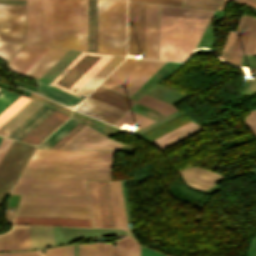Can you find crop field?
<instances>
[{
	"label": "crop field",
	"mask_w": 256,
	"mask_h": 256,
	"mask_svg": "<svg viewBox=\"0 0 256 256\" xmlns=\"http://www.w3.org/2000/svg\"><path fill=\"white\" fill-rule=\"evenodd\" d=\"M208 20L160 15V59L182 60L194 49Z\"/></svg>",
	"instance_id": "crop-field-1"
},
{
	"label": "crop field",
	"mask_w": 256,
	"mask_h": 256,
	"mask_svg": "<svg viewBox=\"0 0 256 256\" xmlns=\"http://www.w3.org/2000/svg\"><path fill=\"white\" fill-rule=\"evenodd\" d=\"M98 52L126 56V2L98 0Z\"/></svg>",
	"instance_id": "crop-field-2"
},
{
	"label": "crop field",
	"mask_w": 256,
	"mask_h": 256,
	"mask_svg": "<svg viewBox=\"0 0 256 256\" xmlns=\"http://www.w3.org/2000/svg\"><path fill=\"white\" fill-rule=\"evenodd\" d=\"M165 63L126 58L100 85L130 97Z\"/></svg>",
	"instance_id": "crop-field-3"
},
{
	"label": "crop field",
	"mask_w": 256,
	"mask_h": 256,
	"mask_svg": "<svg viewBox=\"0 0 256 256\" xmlns=\"http://www.w3.org/2000/svg\"><path fill=\"white\" fill-rule=\"evenodd\" d=\"M111 57L82 52L50 84L74 94Z\"/></svg>",
	"instance_id": "crop-field-4"
},
{
	"label": "crop field",
	"mask_w": 256,
	"mask_h": 256,
	"mask_svg": "<svg viewBox=\"0 0 256 256\" xmlns=\"http://www.w3.org/2000/svg\"><path fill=\"white\" fill-rule=\"evenodd\" d=\"M53 46L78 49V0H53Z\"/></svg>",
	"instance_id": "crop-field-5"
},
{
	"label": "crop field",
	"mask_w": 256,
	"mask_h": 256,
	"mask_svg": "<svg viewBox=\"0 0 256 256\" xmlns=\"http://www.w3.org/2000/svg\"><path fill=\"white\" fill-rule=\"evenodd\" d=\"M27 42L52 46V0H27Z\"/></svg>",
	"instance_id": "crop-field-6"
},
{
	"label": "crop field",
	"mask_w": 256,
	"mask_h": 256,
	"mask_svg": "<svg viewBox=\"0 0 256 256\" xmlns=\"http://www.w3.org/2000/svg\"><path fill=\"white\" fill-rule=\"evenodd\" d=\"M34 145L13 140L0 162V206L21 169L34 149Z\"/></svg>",
	"instance_id": "crop-field-7"
},
{
	"label": "crop field",
	"mask_w": 256,
	"mask_h": 256,
	"mask_svg": "<svg viewBox=\"0 0 256 256\" xmlns=\"http://www.w3.org/2000/svg\"><path fill=\"white\" fill-rule=\"evenodd\" d=\"M0 41L25 42V6L0 4Z\"/></svg>",
	"instance_id": "crop-field-8"
},
{
	"label": "crop field",
	"mask_w": 256,
	"mask_h": 256,
	"mask_svg": "<svg viewBox=\"0 0 256 256\" xmlns=\"http://www.w3.org/2000/svg\"><path fill=\"white\" fill-rule=\"evenodd\" d=\"M128 53L145 55V4L128 2Z\"/></svg>",
	"instance_id": "crop-field-9"
},
{
	"label": "crop field",
	"mask_w": 256,
	"mask_h": 256,
	"mask_svg": "<svg viewBox=\"0 0 256 256\" xmlns=\"http://www.w3.org/2000/svg\"><path fill=\"white\" fill-rule=\"evenodd\" d=\"M16 216L91 218L89 206L20 204Z\"/></svg>",
	"instance_id": "crop-field-10"
},
{
	"label": "crop field",
	"mask_w": 256,
	"mask_h": 256,
	"mask_svg": "<svg viewBox=\"0 0 256 256\" xmlns=\"http://www.w3.org/2000/svg\"><path fill=\"white\" fill-rule=\"evenodd\" d=\"M124 145L86 125L61 148L116 150Z\"/></svg>",
	"instance_id": "crop-field-11"
},
{
	"label": "crop field",
	"mask_w": 256,
	"mask_h": 256,
	"mask_svg": "<svg viewBox=\"0 0 256 256\" xmlns=\"http://www.w3.org/2000/svg\"><path fill=\"white\" fill-rule=\"evenodd\" d=\"M20 177L110 180V171L24 168Z\"/></svg>",
	"instance_id": "crop-field-12"
},
{
	"label": "crop field",
	"mask_w": 256,
	"mask_h": 256,
	"mask_svg": "<svg viewBox=\"0 0 256 256\" xmlns=\"http://www.w3.org/2000/svg\"><path fill=\"white\" fill-rule=\"evenodd\" d=\"M68 117V115L55 110L23 139H21V141L37 145Z\"/></svg>",
	"instance_id": "crop-field-13"
},
{
	"label": "crop field",
	"mask_w": 256,
	"mask_h": 256,
	"mask_svg": "<svg viewBox=\"0 0 256 256\" xmlns=\"http://www.w3.org/2000/svg\"><path fill=\"white\" fill-rule=\"evenodd\" d=\"M30 248L29 226H13L11 231L0 235V251Z\"/></svg>",
	"instance_id": "crop-field-14"
},
{
	"label": "crop field",
	"mask_w": 256,
	"mask_h": 256,
	"mask_svg": "<svg viewBox=\"0 0 256 256\" xmlns=\"http://www.w3.org/2000/svg\"><path fill=\"white\" fill-rule=\"evenodd\" d=\"M49 47L26 44L10 61L9 67L24 73Z\"/></svg>",
	"instance_id": "crop-field-15"
},
{
	"label": "crop field",
	"mask_w": 256,
	"mask_h": 256,
	"mask_svg": "<svg viewBox=\"0 0 256 256\" xmlns=\"http://www.w3.org/2000/svg\"><path fill=\"white\" fill-rule=\"evenodd\" d=\"M214 173L197 167H190L180 171V174L186 184L201 191H204L215 185V181L222 178L216 175L217 173Z\"/></svg>",
	"instance_id": "crop-field-16"
},
{
	"label": "crop field",
	"mask_w": 256,
	"mask_h": 256,
	"mask_svg": "<svg viewBox=\"0 0 256 256\" xmlns=\"http://www.w3.org/2000/svg\"><path fill=\"white\" fill-rule=\"evenodd\" d=\"M68 50L50 47L25 74L40 78L53 64H55Z\"/></svg>",
	"instance_id": "crop-field-17"
},
{
	"label": "crop field",
	"mask_w": 256,
	"mask_h": 256,
	"mask_svg": "<svg viewBox=\"0 0 256 256\" xmlns=\"http://www.w3.org/2000/svg\"><path fill=\"white\" fill-rule=\"evenodd\" d=\"M53 111L54 109L49 108L43 104L18 127H16L10 134H8L7 137L20 140Z\"/></svg>",
	"instance_id": "crop-field-18"
},
{
	"label": "crop field",
	"mask_w": 256,
	"mask_h": 256,
	"mask_svg": "<svg viewBox=\"0 0 256 256\" xmlns=\"http://www.w3.org/2000/svg\"><path fill=\"white\" fill-rule=\"evenodd\" d=\"M89 97L126 111L135 101L114 92L97 87Z\"/></svg>",
	"instance_id": "crop-field-19"
},
{
	"label": "crop field",
	"mask_w": 256,
	"mask_h": 256,
	"mask_svg": "<svg viewBox=\"0 0 256 256\" xmlns=\"http://www.w3.org/2000/svg\"><path fill=\"white\" fill-rule=\"evenodd\" d=\"M125 57L113 56L94 76H92L75 95L86 96L104 77H106Z\"/></svg>",
	"instance_id": "crop-field-20"
},
{
	"label": "crop field",
	"mask_w": 256,
	"mask_h": 256,
	"mask_svg": "<svg viewBox=\"0 0 256 256\" xmlns=\"http://www.w3.org/2000/svg\"><path fill=\"white\" fill-rule=\"evenodd\" d=\"M202 127H200L199 125L195 124L194 122H189L153 141H151L150 143L156 145L159 149L200 129Z\"/></svg>",
	"instance_id": "crop-field-21"
},
{
	"label": "crop field",
	"mask_w": 256,
	"mask_h": 256,
	"mask_svg": "<svg viewBox=\"0 0 256 256\" xmlns=\"http://www.w3.org/2000/svg\"><path fill=\"white\" fill-rule=\"evenodd\" d=\"M41 105L42 103L31 100L0 127V135L6 136Z\"/></svg>",
	"instance_id": "crop-field-22"
},
{
	"label": "crop field",
	"mask_w": 256,
	"mask_h": 256,
	"mask_svg": "<svg viewBox=\"0 0 256 256\" xmlns=\"http://www.w3.org/2000/svg\"><path fill=\"white\" fill-rule=\"evenodd\" d=\"M32 248L54 245L53 227L30 226Z\"/></svg>",
	"instance_id": "crop-field-23"
},
{
	"label": "crop field",
	"mask_w": 256,
	"mask_h": 256,
	"mask_svg": "<svg viewBox=\"0 0 256 256\" xmlns=\"http://www.w3.org/2000/svg\"><path fill=\"white\" fill-rule=\"evenodd\" d=\"M38 81V80H37ZM38 84L40 86L39 90L37 91V93L42 94L46 97H49L51 99H54L58 102H61L63 104H67V105H76L78 104L81 100L71 96L65 92H62L56 88H53L47 84H44L40 81H38Z\"/></svg>",
	"instance_id": "crop-field-24"
},
{
	"label": "crop field",
	"mask_w": 256,
	"mask_h": 256,
	"mask_svg": "<svg viewBox=\"0 0 256 256\" xmlns=\"http://www.w3.org/2000/svg\"><path fill=\"white\" fill-rule=\"evenodd\" d=\"M77 110L112 124L120 115L83 101Z\"/></svg>",
	"instance_id": "crop-field-25"
},
{
	"label": "crop field",
	"mask_w": 256,
	"mask_h": 256,
	"mask_svg": "<svg viewBox=\"0 0 256 256\" xmlns=\"http://www.w3.org/2000/svg\"><path fill=\"white\" fill-rule=\"evenodd\" d=\"M80 121L73 117H70L65 123H63L55 132H53L44 142L38 147L51 148L57 143L65 134H67L75 125Z\"/></svg>",
	"instance_id": "crop-field-26"
},
{
	"label": "crop field",
	"mask_w": 256,
	"mask_h": 256,
	"mask_svg": "<svg viewBox=\"0 0 256 256\" xmlns=\"http://www.w3.org/2000/svg\"><path fill=\"white\" fill-rule=\"evenodd\" d=\"M73 116L79 118L80 120L84 121L85 123L91 125L92 127L96 128L97 130L103 132L104 134H106L108 136L118 134V133H121V132H125L123 130H120L118 128H115L113 126L105 124L103 122H100L96 119H93L91 117H88L86 115L78 113L76 111H74Z\"/></svg>",
	"instance_id": "crop-field-27"
},
{
	"label": "crop field",
	"mask_w": 256,
	"mask_h": 256,
	"mask_svg": "<svg viewBox=\"0 0 256 256\" xmlns=\"http://www.w3.org/2000/svg\"><path fill=\"white\" fill-rule=\"evenodd\" d=\"M137 103L152 108L166 115L176 111L173 106L144 95Z\"/></svg>",
	"instance_id": "crop-field-28"
},
{
	"label": "crop field",
	"mask_w": 256,
	"mask_h": 256,
	"mask_svg": "<svg viewBox=\"0 0 256 256\" xmlns=\"http://www.w3.org/2000/svg\"><path fill=\"white\" fill-rule=\"evenodd\" d=\"M30 99L20 96L0 114V126L21 109Z\"/></svg>",
	"instance_id": "crop-field-29"
},
{
	"label": "crop field",
	"mask_w": 256,
	"mask_h": 256,
	"mask_svg": "<svg viewBox=\"0 0 256 256\" xmlns=\"http://www.w3.org/2000/svg\"><path fill=\"white\" fill-rule=\"evenodd\" d=\"M24 44L0 43V57L9 60Z\"/></svg>",
	"instance_id": "crop-field-30"
},
{
	"label": "crop field",
	"mask_w": 256,
	"mask_h": 256,
	"mask_svg": "<svg viewBox=\"0 0 256 256\" xmlns=\"http://www.w3.org/2000/svg\"><path fill=\"white\" fill-rule=\"evenodd\" d=\"M221 0H184L183 6L215 9Z\"/></svg>",
	"instance_id": "crop-field-31"
},
{
	"label": "crop field",
	"mask_w": 256,
	"mask_h": 256,
	"mask_svg": "<svg viewBox=\"0 0 256 256\" xmlns=\"http://www.w3.org/2000/svg\"><path fill=\"white\" fill-rule=\"evenodd\" d=\"M129 251V235L121 240L116 241L113 246V256H128Z\"/></svg>",
	"instance_id": "crop-field-32"
},
{
	"label": "crop field",
	"mask_w": 256,
	"mask_h": 256,
	"mask_svg": "<svg viewBox=\"0 0 256 256\" xmlns=\"http://www.w3.org/2000/svg\"><path fill=\"white\" fill-rule=\"evenodd\" d=\"M243 17H244V16L241 17V19H240V21H239V23H238V27H237L236 32H232V31L229 32V34H228V36H227V39H226V41H225V44H224V46H223V48H222V55H221V58L224 59V60H226V61H228L229 51H230V49H231V46H232L233 41H234V39H235V36H236V34H237V32H238V29H239V27H240V24H241V22H242Z\"/></svg>",
	"instance_id": "crop-field-33"
},
{
	"label": "crop field",
	"mask_w": 256,
	"mask_h": 256,
	"mask_svg": "<svg viewBox=\"0 0 256 256\" xmlns=\"http://www.w3.org/2000/svg\"><path fill=\"white\" fill-rule=\"evenodd\" d=\"M19 95L14 94L12 92H9L5 90L1 95H0V113L7 108L15 99H17Z\"/></svg>",
	"instance_id": "crop-field-34"
},
{
	"label": "crop field",
	"mask_w": 256,
	"mask_h": 256,
	"mask_svg": "<svg viewBox=\"0 0 256 256\" xmlns=\"http://www.w3.org/2000/svg\"><path fill=\"white\" fill-rule=\"evenodd\" d=\"M251 32H256V22ZM242 54H256V33H251Z\"/></svg>",
	"instance_id": "crop-field-35"
},
{
	"label": "crop field",
	"mask_w": 256,
	"mask_h": 256,
	"mask_svg": "<svg viewBox=\"0 0 256 256\" xmlns=\"http://www.w3.org/2000/svg\"><path fill=\"white\" fill-rule=\"evenodd\" d=\"M28 97L33 98V99H35V100H38V101H40V102H43V103H45V104H48V105H50V106H52V107H54V108H56V109H59V110L65 112V113H67V114H69V115H70L71 112H72L71 109H69V108H67V107H64V106H62V105H59V104H57V103H55V102H52V101H50V100H48V99H45V98H43V97H40V96H38V95H36V94H34V93H32V92L28 95Z\"/></svg>",
	"instance_id": "crop-field-36"
},
{
	"label": "crop field",
	"mask_w": 256,
	"mask_h": 256,
	"mask_svg": "<svg viewBox=\"0 0 256 256\" xmlns=\"http://www.w3.org/2000/svg\"><path fill=\"white\" fill-rule=\"evenodd\" d=\"M85 124L79 123L76 127H74L66 136H64L56 145L52 148H60L63 144H65L72 136H74L81 128H83Z\"/></svg>",
	"instance_id": "crop-field-37"
},
{
	"label": "crop field",
	"mask_w": 256,
	"mask_h": 256,
	"mask_svg": "<svg viewBox=\"0 0 256 256\" xmlns=\"http://www.w3.org/2000/svg\"><path fill=\"white\" fill-rule=\"evenodd\" d=\"M244 122L247 124L253 135L256 137V111L249 112V115L245 117Z\"/></svg>",
	"instance_id": "crop-field-38"
},
{
	"label": "crop field",
	"mask_w": 256,
	"mask_h": 256,
	"mask_svg": "<svg viewBox=\"0 0 256 256\" xmlns=\"http://www.w3.org/2000/svg\"><path fill=\"white\" fill-rule=\"evenodd\" d=\"M85 101L90 102V103H92V104H95V105H97V106L103 107V108H105V109H108V110L113 111V112H115V113H118V114H120V115H122V114L124 113V111H122V110H119V109L114 108V107H112V106L106 105V104H104V103H101V102L96 101V100H94V99H91V98H89V97H87V98L85 99Z\"/></svg>",
	"instance_id": "crop-field-39"
},
{
	"label": "crop field",
	"mask_w": 256,
	"mask_h": 256,
	"mask_svg": "<svg viewBox=\"0 0 256 256\" xmlns=\"http://www.w3.org/2000/svg\"><path fill=\"white\" fill-rule=\"evenodd\" d=\"M99 256H112V243H99Z\"/></svg>",
	"instance_id": "crop-field-40"
},
{
	"label": "crop field",
	"mask_w": 256,
	"mask_h": 256,
	"mask_svg": "<svg viewBox=\"0 0 256 256\" xmlns=\"http://www.w3.org/2000/svg\"><path fill=\"white\" fill-rule=\"evenodd\" d=\"M129 256H140V245L131 236Z\"/></svg>",
	"instance_id": "crop-field-41"
},
{
	"label": "crop field",
	"mask_w": 256,
	"mask_h": 256,
	"mask_svg": "<svg viewBox=\"0 0 256 256\" xmlns=\"http://www.w3.org/2000/svg\"><path fill=\"white\" fill-rule=\"evenodd\" d=\"M0 256H44V253H40V250H38L32 252L6 253L0 254Z\"/></svg>",
	"instance_id": "crop-field-42"
},
{
	"label": "crop field",
	"mask_w": 256,
	"mask_h": 256,
	"mask_svg": "<svg viewBox=\"0 0 256 256\" xmlns=\"http://www.w3.org/2000/svg\"><path fill=\"white\" fill-rule=\"evenodd\" d=\"M11 142V139L3 138L2 142L0 143V160L2 159Z\"/></svg>",
	"instance_id": "crop-field-43"
},
{
	"label": "crop field",
	"mask_w": 256,
	"mask_h": 256,
	"mask_svg": "<svg viewBox=\"0 0 256 256\" xmlns=\"http://www.w3.org/2000/svg\"><path fill=\"white\" fill-rule=\"evenodd\" d=\"M134 1L155 2V3H165V4H175V5L182 4V0H134Z\"/></svg>",
	"instance_id": "crop-field-44"
},
{
	"label": "crop field",
	"mask_w": 256,
	"mask_h": 256,
	"mask_svg": "<svg viewBox=\"0 0 256 256\" xmlns=\"http://www.w3.org/2000/svg\"><path fill=\"white\" fill-rule=\"evenodd\" d=\"M47 256H63V246L47 249Z\"/></svg>",
	"instance_id": "crop-field-45"
},
{
	"label": "crop field",
	"mask_w": 256,
	"mask_h": 256,
	"mask_svg": "<svg viewBox=\"0 0 256 256\" xmlns=\"http://www.w3.org/2000/svg\"><path fill=\"white\" fill-rule=\"evenodd\" d=\"M141 255L142 256H166L161 253H158L156 251H153L151 249H148L146 247L141 246Z\"/></svg>",
	"instance_id": "crop-field-46"
},
{
	"label": "crop field",
	"mask_w": 256,
	"mask_h": 256,
	"mask_svg": "<svg viewBox=\"0 0 256 256\" xmlns=\"http://www.w3.org/2000/svg\"><path fill=\"white\" fill-rule=\"evenodd\" d=\"M64 256H74V245L64 246Z\"/></svg>",
	"instance_id": "crop-field-47"
},
{
	"label": "crop field",
	"mask_w": 256,
	"mask_h": 256,
	"mask_svg": "<svg viewBox=\"0 0 256 256\" xmlns=\"http://www.w3.org/2000/svg\"><path fill=\"white\" fill-rule=\"evenodd\" d=\"M0 3L25 5V0H0Z\"/></svg>",
	"instance_id": "crop-field-48"
},
{
	"label": "crop field",
	"mask_w": 256,
	"mask_h": 256,
	"mask_svg": "<svg viewBox=\"0 0 256 256\" xmlns=\"http://www.w3.org/2000/svg\"><path fill=\"white\" fill-rule=\"evenodd\" d=\"M246 1H250V2H254V3H256V0H246Z\"/></svg>",
	"instance_id": "crop-field-49"
},
{
	"label": "crop field",
	"mask_w": 256,
	"mask_h": 256,
	"mask_svg": "<svg viewBox=\"0 0 256 256\" xmlns=\"http://www.w3.org/2000/svg\"><path fill=\"white\" fill-rule=\"evenodd\" d=\"M1 140H2V137H0V142H1Z\"/></svg>",
	"instance_id": "crop-field-50"
}]
</instances>
